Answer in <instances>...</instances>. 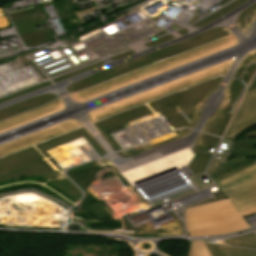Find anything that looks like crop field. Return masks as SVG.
Masks as SVG:
<instances>
[{"mask_svg":"<svg viewBox=\"0 0 256 256\" xmlns=\"http://www.w3.org/2000/svg\"><path fill=\"white\" fill-rule=\"evenodd\" d=\"M190 236L221 235L248 228L227 199L185 209Z\"/></svg>","mask_w":256,"mask_h":256,"instance_id":"crop-field-1","label":"crop field"},{"mask_svg":"<svg viewBox=\"0 0 256 256\" xmlns=\"http://www.w3.org/2000/svg\"><path fill=\"white\" fill-rule=\"evenodd\" d=\"M254 124H256V88L247 92L224 137H233Z\"/></svg>","mask_w":256,"mask_h":256,"instance_id":"crop-field-2","label":"crop field"},{"mask_svg":"<svg viewBox=\"0 0 256 256\" xmlns=\"http://www.w3.org/2000/svg\"><path fill=\"white\" fill-rule=\"evenodd\" d=\"M225 195L239 212L256 207V179L235 187L227 192Z\"/></svg>","mask_w":256,"mask_h":256,"instance_id":"crop-field-3","label":"crop field"},{"mask_svg":"<svg viewBox=\"0 0 256 256\" xmlns=\"http://www.w3.org/2000/svg\"><path fill=\"white\" fill-rule=\"evenodd\" d=\"M254 178H256V165H253L217 184L221 188V190L225 192Z\"/></svg>","mask_w":256,"mask_h":256,"instance_id":"crop-field-4","label":"crop field"},{"mask_svg":"<svg viewBox=\"0 0 256 256\" xmlns=\"http://www.w3.org/2000/svg\"><path fill=\"white\" fill-rule=\"evenodd\" d=\"M231 154L256 158V137L246 140H235Z\"/></svg>","mask_w":256,"mask_h":256,"instance_id":"crop-field-5","label":"crop field"},{"mask_svg":"<svg viewBox=\"0 0 256 256\" xmlns=\"http://www.w3.org/2000/svg\"><path fill=\"white\" fill-rule=\"evenodd\" d=\"M229 242L233 246L256 250V236L254 235L230 239Z\"/></svg>","mask_w":256,"mask_h":256,"instance_id":"crop-field-6","label":"crop field"},{"mask_svg":"<svg viewBox=\"0 0 256 256\" xmlns=\"http://www.w3.org/2000/svg\"><path fill=\"white\" fill-rule=\"evenodd\" d=\"M188 256H211L204 242L192 241Z\"/></svg>","mask_w":256,"mask_h":256,"instance_id":"crop-field-7","label":"crop field"},{"mask_svg":"<svg viewBox=\"0 0 256 256\" xmlns=\"http://www.w3.org/2000/svg\"><path fill=\"white\" fill-rule=\"evenodd\" d=\"M246 160H248V159L235 158V159H233V160H231V161H229L227 163H224L222 165H219V166H217V167H215V168H213V169H211V170H209L207 172L209 173L210 176H212L214 174L222 172V171H224V170H226V169H228V168H230V167H232L234 165H237V164H239V163H241L243 161H246Z\"/></svg>","mask_w":256,"mask_h":256,"instance_id":"crop-field-8","label":"crop field"},{"mask_svg":"<svg viewBox=\"0 0 256 256\" xmlns=\"http://www.w3.org/2000/svg\"><path fill=\"white\" fill-rule=\"evenodd\" d=\"M212 256H228L225 246L205 243Z\"/></svg>","mask_w":256,"mask_h":256,"instance_id":"crop-field-9","label":"crop field"},{"mask_svg":"<svg viewBox=\"0 0 256 256\" xmlns=\"http://www.w3.org/2000/svg\"><path fill=\"white\" fill-rule=\"evenodd\" d=\"M227 247V246H226ZM229 256H256V251L227 247Z\"/></svg>","mask_w":256,"mask_h":256,"instance_id":"crop-field-10","label":"crop field"},{"mask_svg":"<svg viewBox=\"0 0 256 256\" xmlns=\"http://www.w3.org/2000/svg\"><path fill=\"white\" fill-rule=\"evenodd\" d=\"M60 7L63 10V13L65 14L77 11L76 6L73 5L72 0H70V2H67V3H61Z\"/></svg>","mask_w":256,"mask_h":256,"instance_id":"crop-field-11","label":"crop field"},{"mask_svg":"<svg viewBox=\"0 0 256 256\" xmlns=\"http://www.w3.org/2000/svg\"><path fill=\"white\" fill-rule=\"evenodd\" d=\"M255 163H256V160L247 164V165H245V166H243V167H241V168H239V169H236V170H234V171H232V172H230V173H228V174H226V175H224L220 178L214 179V182L216 183L218 181H221V180H223V179H225V178H227V177H229V176H231V175H233V174H235V173H237V172H239V171H241V170H243V169H245V168H247V167H249V166H251Z\"/></svg>","mask_w":256,"mask_h":256,"instance_id":"crop-field-12","label":"crop field"},{"mask_svg":"<svg viewBox=\"0 0 256 256\" xmlns=\"http://www.w3.org/2000/svg\"><path fill=\"white\" fill-rule=\"evenodd\" d=\"M255 213H256V208L255 209L246 210L244 212H241L243 217L249 216V215H252V214H255Z\"/></svg>","mask_w":256,"mask_h":256,"instance_id":"crop-field-13","label":"crop field"},{"mask_svg":"<svg viewBox=\"0 0 256 256\" xmlns=\"http://www.w3.org/2000/svg\"><path fill=\"white\" fill-rule=\"evenodd\" d=\"M251 135H256V131L246 134V137L251 136Z\"/></svg>","mask_w":256,"mask_h":256,"instance_id":"crop-field-14","label":"crop field"},{"mask_svg":"<svg viewBox=\"0 0 256 256\" xmlns=\"http://www.w3.org/2000/svg\"><path fill=\"white\" fill-rule=\"evenodd\" d=\"M254 85H256V80H255V82L252 84V86H254ZM252 86H251V87H252Z\"/></svg>","mask_w":256,"mask_h":256,"instance_id":"crop-field-15","label":"crop field"}]
</instances>
